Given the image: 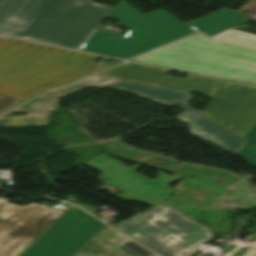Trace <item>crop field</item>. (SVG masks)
I'll list each match as a JSON object with an SVG mask.
<instances>
[{
  "label": "crop field",
  "instance_id": "obj_1",
  "mask_svg": "<svg viewBox=\"0 0 256 256\" xmlns=\"http://www.w3.org/2000/svg\"><path fill=\"white\" fill-rule=\"evenodd\" d=\"M168 73L160 68L123 63L100 74L185 93L202 92L212 99L201 116L246 139L238 155L256 164V88L190 74L181 79Z\"/></svg>",
  "mask_w": 256,
  "mask_h": 256
},
{
  "label": "crop field",
  "instance_id": "obj_2",
  "mask_svg": "<svg viewBox=\"0 0 256 256\" xmlns=\"http://www.w3.org/2000/svg\"><path fill=\"white\" fill-rule=\"evenodd\" d=\"M112 9L91 0H0V34L77 49Z\"/></svg>",
  "mask_w": 256,
  "mask_h": 256
},
{
  "label": "crop field",
  "instance_id": "obj_3",
  "mask_svg": "<svg viewBox=\"0 0 256 256\" xmlns=\"http://www.w3.org/2000/svg\"><path fill=\"white\" fill-rule=\"evenodd\" d=\"M130 60L256 85V35L196 33Z\"/></svg>",
  "mask_w": 256,
  "mask_h": 256
},
{
  "label": "crop field",
  "instance_id": "obj_4",
  "mask_svg": "<svg viewBox=\"0 0 256 256\" xmlns=\"http://www.w3.org/2000/svg\"><path fill=\"white\" fill-rule=\"evenodd\" d=\"M98 56L3 37L0 39V93L20 101L106 66Z\"/></svg>",
  "mask_w": 256,
  "mask_h": 256
},
{
  "label": "crop field",
  "instance_id": "obj_5",
  "mask_svg": "<svg viewBox=\"0 0 256 256\" xmlns=\"http://www.w3.org/2000/svg\"><path fill=\"white\" fill-rule=\"evenodd\" d=\"M140 13L121 0L106 18L123 23L125 36L95 32L80 50L126 59L195 32L161 9Z\"/></svg>",
  "mask_w": 256,
  "mask_h": 256
},
{
  "label": "crop field",
  "instance_id": "obj_6",
  "mask_svg": "<svg viewBox=\"0 0 256 256\" xmlns=\"http://www.w3.org/2000/svg\"><path fill=\"white\" fill-rule=\"evenodd\" d=\"M115 228L162 256H184L212 234L163 203L136 223L124 222Z\"/></svg>",
  "mask_w": 256,
  "mask_h": 256
},
{
  "label": "crop field",
  "instance_id": "obj_7",
  "mask_svg": "<svg viewBox=\"0 0 256 256\" xmlns=\"http://www.w3.org/2000/svg\"><path fill=\"white\" fill-rule=\"evenodd\" d=\"M83 165H87L101 172L102 174L97 179L103 184H109L125 191L114 196L124 201L143 202L152 207L169 199L173 189L167 186L182 178L177 175L170 176L158 171L156 172L158 179L156 178L157 180L150 181L135 172L141 165L135 164L128 168L122 162L103 154ZM152 199L156 200L153 201Z\"/></svg>",
  "mask_w": 256,
  "mask_h": 256
},
{
  "label": "crop field",
  "instance_id": "obj_8",
  "mask_svg": "<svg viewBox=\"0 0 256 256\" xmlns=\"http://www.w3.org/2000/svg\"><path fill=\"white\" fill-rule=\"evenodd\" d=\"M64 211L39 204L0 200V256H18Z\"/></svg>",
  "mask_w": 256,
  "mask_h": 256
},
{
  "label": "crop field",
  "instance_id": "obj_9",
  "mask_svg": "<svg viewBox=\"0 0 256 256\" xmlns=\"http://www.w3.org/2000/svg\"><path fill=\"white\" fill-rule=\"evenodd\" d=\"M110 88L134 92L166 105L181 104L186 112L179 117L191 126L189 133L233 154H238L246 141L201 117L202 111L190 108L187 103L192 98V95L140 84L126 79Z\"/></svg>",
  "mask_w": 256,
  "mask_h": 256
},
{
  "label": "crop field",
  "instance_id": "obj_10",
  "mask_svg": "<svg viewBox=\"0 0 256 256\" xmlns=\"http://www.w3.org/2000/svg\"><path fill=\"white\" fill-rule=\"evenodd\" d=\"M104 225L73 206L21 256H71Z\"/></svg>",
  "mask_w": 256,
  "mask_h": 256
},
{
  "label": "crop field",
  "instance_id": "obj_11",
  "mask_svg": "<svg viewBox=\"0 0 256 256\" xmlns=\"http://www.w3.org/2000/svg\"><path fill=\"white\" fill-rule=\"evenodd\" d=\"M120 80L95 74L76 83L73 82L74 84L55 88L10 111H28V115L3 117L10 113L8 112L0 116V126L47 125L49 113L58 109L57 98L88 86L106 88Z\"/></svg>",
  "mask_w": 256,
  "mask_h": 256
},
{
  "label": "crop field",
  "instance_id": "obj_12",
  "mask_svg": "<svg viewBox=\"0 0 256 256\" xmlns=\"http://www.w3.org/2000/svg\"><path fill=\"white\" fill-rule=\"evenodd\" d=\"M128 238L104 226L73 256H128L117 248Z\"/></svg>",
  "mask_w": 256,
  "mask_h": 256
},
{
  "label": "crop field",
  "instance_id": "obj_13",
  "mask_svg": "<svg viewBox=\"0 0 256 256\" xmlns=\"http://www.w3.org/2000/svg\"><path fill=\"white\" fill-rule=\"evenodd\" d=\"M242 22V14L233 10H219L188 25L207 36H212Z\"/></svg>",
  "mask_w": 256,
  "mask_h": 256
},
{
  "label": "crop field",
  "instance_id": "obj_14",
  "mask_svg": "<svg viewBox=\"0 0 256 256\" xmlns=\"http://www.w3.org/2000/svg\"><path fill=\"white\" fill-rule=\"evenodd\" d=\"M20 102L0 95V113Z\"/></svg>",
  "mask_w": 256,
  "mask_h": 256
},
{
  "label": "crop field",
  "instance_id": "obj_15",
  "mask_svg": "<svg viewBox=\"0 0 256 256\" xmlns=\"http://www.w3.org/2000/svg\"><path fill=\"white\" fill-rule=\"evenodd\" d=\"M82 208H84L85 210L89 211L90 213L92 214H95L98 210V208H94V207H91V206H88V205H80Z\"/></svg>",
  "mask_w": 256,
  "mask_h": 256
},
{
  "label": "crop field",
  "instance_id": "obj_16",
  "mask_svg": "<svg viewBox=\"0 0 256 256\" xmlns=\"http://www.w3.org/2000/svg\"><path fill=\"white\" fill-rule=\"evenodd\" d=\"M256 255V249L251 248L246 253H244L242 256H255Z\"/></svg>",
  "mask_w": 256,
  "mask_h": 256
},
{
  "label": "crop field",
  "instance_id": "obj_17",
  "mask_svg": "<svg viewBox=\"0 0 256 256\" xmlns=\"http://www.w3.org/2000/svg\"><path fill=\"white\" fill-rule=\"evenodd\" d=\"M144 216V214L143 215H141V216H138V217H136V218H133V219H131V220H128V221H131V222H136L137 220H139L141 217H143Z\"/></svg>",
  "mask_w": 256,
  "mask_h": 256
},
{
  "label": "crop field",
  "instance_id": "obj_18",
  "mask_svg": "<svg viewBox=\"0 0 256 256\" xmlns=\"http://www.w3.org/2000/svg\"><path fill=\"white\" fill-rule=\"evenodd\" d=\"M2 36H0V38H1Z\"/></svg>",
  "mask_w": 256,
  "mask_h": 256
}]
</instances>
